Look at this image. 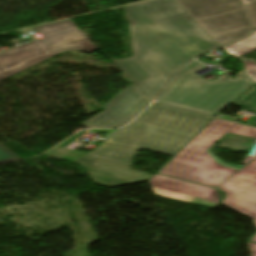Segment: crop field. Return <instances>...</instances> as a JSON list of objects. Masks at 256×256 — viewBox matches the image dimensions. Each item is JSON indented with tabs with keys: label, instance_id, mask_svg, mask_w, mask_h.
<instances>
[{
	"label": "crop field",
	"instance_id": "crop-field-1",
	"mask_svg": "<svg viewBox=\"0 0 256 256\" xmlns=\"http://www.w3.org/2000/svg\"><path fill=\"white\" fill-rule=\"evenodd\" d=\"M133 57L113 63L149 101L190 60L220 46L176 0L125 7Z\"/></svg>",
	"mask_w": 256,
	"mask_h": 256
},
{
	"label": "crop field",
	"instance_id": "crop-field-2",
	"mask_svg": "<svg viewBox=\"0 0 256 256\" xmlns=\"http://www.w3.org/2000/svg\"><path fill=\"white\" fill-rule=\"evenodd\" d=\"M211 117L159 105L148 107L128 126L88 153L119 161L94 183L113 188L146 182L153 174L129 169L142 148L173 157Z\"/></svg>",
	"mask_w": 256,
	"mask_h": 256
},
{
	"label": "crop field",
	"instance_id": "crop-field-3",
	"mask_svg": "<svg viewBox=\"0 0 256 256\" xmlns=\"http://www.w3.org/2000/svg\"><path fill=\"white\" fill-rule=\"evenodd\" d=\"M255 140L256 129L214 119L158 173L216 187L241 167L221 161L213 150L249 152Z\"/></svg>",
	"mask_w": 256,
	"mask_h": 256
},
{
	"label": "crop field",
	"instance_id": "crop-field-4",
	"mask_svg": "<svg viewBox=\"0 0 256 256\" xmlns=\"http://www.w3.org/2000/svg\"><path fill=\"white\" fill-rule=\"evenodd\" d=\"M34 29L43 40L0 53V81L62 51L78 49L91 53L97 50L70 20Z\"/></svg>",
	"mask_w": 256,
	"mask_h": 256
},
{
	"label": "crop field",
	"instance_id": "crop-field-5",
	"mask_svg": "<svg viewBox=\"0 0 256 256\" xmlns=\"http://www.w3.org/2000/svg\"><path fill=\"white\" fill-rule=\"evenodd\" d=\"M177 1L220 46L251 31L241 0Z\"/></svg>",
	"mask_w": 256,
	"mask_h": 256
},
{
	"label": "crop field",
	"instance_id": "crop-field-6",
	"mask_svg": "<svg viewBox=\"0 0 256 256\" xmlns=\"http://www.w3.org/2000/svg\"><path fill=\"white\" fill-rule=\"evenodd\" d=\"M239 94L241 92L179 74L158 101L214 116Z\"/></svg>",
	"mask_w": 256,
	"mask_h": 256
},
{
	"label": "crop field",
	"instance_id": "crop-field-7",
	"mask_svg": "<svg viewBox=\"0 0 256 256\" xmlns=\"http://www.w3.org/2000/svg\"><path fill=\"white\" fill-rule=\"evenodd\" d=\"M150 103L131 84L103 105L105 111L80 125L86 128H115L127 124Z\"/></svg>",
	"mask_w": 256,
	"mask_h": 256
},
{
	"label": "crop field",
	"instance_id": "crop-field-8",
	"mask_svg": "<svg viewBox=\"0 0 256 256\" xmlns=\"http://www.w3.org/2000/svg\"><path fill=\"white\" fill-rule=\"evenodd\" d=\"M218 188L227 195L223 205L253 219L256 227V159Z\"/></svg>",
	"mask_w": 256,
	"mask_h": 256
},
{
	"label": "crop field",
	"instance_id": "crop-field-9",
	"mask_svg": "<svg viewBox=\"0 0 256 256\" xmlns=\"http://www.w3.org/2000/svg\"><path fill=\"white\" fill-rule=\"evenodd\" d=\"M149 183L155 195L213 209L221 205L216 189L153 175Z\"/></svg>",
	"mask_w": 256,
	"mask_h": 256
},
{
	"label": "crop field",
	"instance_id": "crop-field-10",
	"mask_svg": "<svg viewBox=\"0 0 256 256\" xmlns=\"http://www.w3.org/2000/svg\"><path fill=\"white\" fill-rule=\"evenodd\" d=\"M205 66L193 61L191 64H189L183 71L180 72V74H184L190 77H194L197 79H200L199 76L193 74L192 72L202 69ZM201 80V79H200ZM211 82L217 85H221L227 88H231L237 91L243 92L246 90L250 85H252V81L246 76V74L241 71L238 75H236L235 79H231L225 75H223L221 80H216V81H207Z\"/></svg>",
	"mask_w": 256,
	"mask_h": 256
},
{
	"label": "crop field",
	"instance_id": "crop-field-11",
	"mask_svg": "<svg viewBox=\"0 0 256 256\" xmlns=\"http://www.w3.org/2000/svg\"><path fill=\"white\" fill-rule=\"evenodd\" d=\"M225 50L237 58L256 50V32L249 38L226 47ZM240 60L244 64L245 72L252 78L254 82H256V65L242 59Z\"/></svg>",
	"mask_w": 256,
	"mask_h": 256
},
{
	"label": "crop field",
	"instance_id": "crop-field-12",
	"mask_svg": "<svg viewBox=\"0 0 256 256\" xmlns=\"http://www.w3.org/2000/svg\"><path fill=\"white\" fill-rule=\"evenodd\" d=\"M232 105L249 110L256 113V84L253 85L245 94L237 99ZM248 125L256 126V118Z\"/></svg>",
	"mask_w": 256,
	"mask_h": 256
},
{
	"label": "crop field",
	"instance_id": "crop-field-13",
	"mask_svg": "<svg viewBox=\"0 0 256 256\" xmlns=\"http://www.w3.org/2000/svg\"><path fill=\"white\" fill-rule=\"evenodd\" d=\"M19 158L0 145V162L18 160Z\"/></svg>",
	"mask_w": 256,
	"mask_h": 256
},
{
	"label": "crop field",
	"instance_id": "crop-field-14",
	"mask_svg": "<svg viewBox=\"0 0 256 256\" xmlns=\"http://www.w3.org/2000/svg\"><path fill=\"white\" fill-rule=\"evenodd\" d=\"M247 7L256 29V3L248 4Z\"/></svg>",
	"mask_w": 256,
	"mask_h": 256
},
{
	"label": "crop field",
	"instance_id": "crop-field-15",
	"mask_svg": "<svg viewBox=\"0 0 256 256\" xmlns=\"http://www.w3.org/2000/svg\"><path fill=\"white\" fill-rule=\"evenodd\" d=\"M250 248L251 256H256V243H248Z\"/></svg>",
	"mask_w": 256,
	"mask_h": 256
},
{
	"label": "crop field",
	"instance_id": "crop-field-16",
	"mask_svg": "<svg viewBox=\"0 0 256 256\" xmlns=\"http://www.w3.org/2000/svg\"><path fill=\"white\" fill-rule=\"evenodd\" d=\"M250 241L251 242H256V235Z\"/></svg>",
	"mask_w": 256,
	"mask_h": 256
},
{
	"label": "crop field",
	"instance_id": "crop-field-17",
	"mask_svg": "<svg viewBox=\"0 0 256 256\" xmlns=\"http://www.w3.org/2000/svg\"><path fill=\"white\" fill-rule=\"evenodd\" d=\"M245 1H251V0H245Z\"/></svg>",
	"mask_w": 256,
	"mask_h": 256
}]
</instances>
